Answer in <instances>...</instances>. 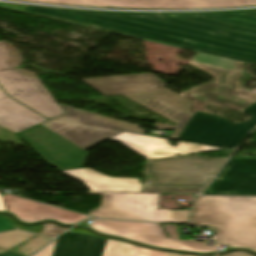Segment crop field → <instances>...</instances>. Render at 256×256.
Wrapping results in <instances>:
<instances>
[{
  "mask_svg": "<svg viewBox=\"0 0 256 256\" xmlns=\"http://www.w3.org/2000/svg\"><path fill=\"white\" fill-rule=\"evenodd\" d=\"M0 256H18V255L8 252V253L2 254Z\"/></svg>",
  "mask_w": 256,
  "mask_h": 256,
  "instance_id": "obj_30",
  "label": "crop field"
},
{
  "mask_svg": "<svg viewBox=\"0 0 256 256\" xmlns=\"http://www.w3.org/2000/svg\"><path fill=\"white\" fill-rule=\"evenodd\" d=\"M34 234L25 233L21 231H12L0 234V249L10 250L16 245L26 241ZM34 237V236H33Z\"/></svg>",
  "mask_w": 256,
  "mask_h": 256,
  "instance_id": "obj_21",
  "label": "crop field"
},
{
  "mask_svg": "<svg viewBox=\"0 0 256 256\" xmlns=\"http://www.w3.org/2000/svg\"><path fill=\"white\" fill-rule=\"evenodd\" d=\"M0 211H6L1 192H0Z\"/></svg>",
  "mask_w": 256,
  "mask_h": 256,
  "instance_id": "obj_29",
  "label": "crop field"
},
{
  "mask_svg": "<svg viewBox=\"0 0 256 256\" xmlns=\"http://www.w3.org/2000/svg\"><path fill=\"white\" fill-rule=\"evenodd\" d=\"M203 194L256 195V157H231Z\"/></svg>",
  "mask_w": 256,
  "mask_h": 256,
  "instance_id": "obj_14",
  "label": "crop field"
},
{
  "mask_svg": "<svg viewBox=\"0 0 256 256\" xmlns=\"http://www.w3.org/2000/svg\"><path fill=\"white\" fill-rule=\"evenodd\" d=\"M20 227H24V226L15 223L13 220L8 218L7 216L0 215V231L16 229Z\"/></svg>",
  "mask_w": 256,
  "mask_h": 256,
  "instance_id": "obj_25",
  "label": "crop field"
},
{
  "mask_svg": "<svg viewBox=\"0 0 256 256\" xmlns=\"http://www.w3.org/2000/svg\"><path fill=\"white\" fill-rule=\"evenodd\" d=\"M226 158L169 157L149 160L151 184L165 187L204 188Z\"/></svg>",
  "mask_w": 256,
  "mask_h": 256,
  "instance_id": "obj_6",
  "label": "crop field"
},
{
  "mask_svg": "<svg viewBox=\"0 0 256 256\" xmlns=\"http://www.w3.org/2000/svg\"><path fill=\"white\" fill-rule=\"evenodd\" d=\"M51 240V238L38 235L37 237L29 240L28 242L12 250L11 252L17 253L22 256H29Z\"/></svg>",
  "mask_w": 256,
  "mask_h": 256,
  "instance_id": "obj_22",
  "label": "crop field"
},
{
  "mask_svg": "<svg viewBox=\"0 0 256 256\" xmlns=\"http://www.w3.org/2000/svg\"><path fill=\"white\" fill-rule=\"evenodd\" d=\"M192 222L216 228L219 244L256 248V197L202 196Z\"/></svg>",
  "mask_w": 256,
  "mask_h": 256,
  "instance_id": "obj_2",
  "label": "crop field"
},
{
  "mask_svg": "<svg viewBox=\"0 0 256 256\" xmlns=\"http://www.w3.org/2000/svg\"><path fill=\"white\" fill-rule=\"evenodd\" d=\"M42 226H43V228H42L40 234H44L47 236H56V235L62 233L63 231L69 229V228L60 227L54 223H45V224H42Z\"/></svg>",
  "mask_w": 256,
  "mask_h": 256,
  "instance_id": "obj_24",
  "label": "crop field"
},
{
  "mask_svg": "<svg viewBox=\"0 0 256 256\" xmlns=\"http://www.w3.org/2000/svg\"><path fill=\"white\" fill-rule=\"evenodd\" d=\"M0 86L11 98L51 119L63 111L31 71L11 69L0 72Z\"/></svg>",
  "mask_w": 256,
  "mask_h": 256,
  "instance_id": "obj_10",
  "label": "crop field"
},
{
  "mask_svg": "<svg viewBox=\"0 0 256 256\" xmlns=\"http://www.w3.org/2000/svg\"><path fill=\"white\" fill-rule=\"evenodd\" d=\"M22 63L18 49L0 41V71L18 67Z\"/></svg>",
  "mask_w": 256,
  "mask_h": 256,
  "instance_id": "obj_20",
  "label": "crop field"
},
{
  "mask_svg": "<svg viewBox=\"0 0 256 256\" xmlns=\"http://www.w3.org/2000/svg\"><path fill=\"white\" fill-rule=\"evenodd\" d=\"M110 140H116L133 150L145 159L169 157L181 154L196 153L221 148L178 141L171 146L167 139L123 132Z\"/></svg>",
  "mask_w": 256,
  "mask_h": 256,
  "instance_id": "obj_15",
  "label": "crop field"
},
{
  "mask_svg": "<svg viewBox=\"0 0 256 256\" xmlns=\"http://www.w3.org/2000/svg\"><path fill=\"white\" fill-rule=\"evenodd\" d=\"M103 94L117 95L162 91L165 84L152 73L82 80Z\"/></svg>",
  "mask_w": 256,
  "mask_h": 256,
  "instance_id": "obj_17",
  "label": "crop field"
},
{
  "mask_svg": "<svg viewBox=\"0 0 256 256\" xmlns=\"http://www.w3.org/2000/svg\"><path fill=\"white\" fill-rule=\"evenodd\" d=\"M47 121L6 96L0 88V125L17 133L37 123Z\"/></svg>",
  "mask_w": 256,
  "mask_h": 256,
  "instance_id": "obj_19",
  "label": "crop field"
},
{
  "mask_svg": "<svg viewBox=\"0 0 256 256\" xmlns=\"http://www.w3.org/2000/svg\"><path fill=\"white\" fill-rule=\"evenodd\" d=\"M25 7L26 6H22V5H12V4H1L0 3V8L14 10V11H18V12H22Z\"/></svg>",
  "mask_w": 256,
  "mask_h": 256,
  "instance_id": "obj_26",
  "label": "crop field"
},
{
  "mask_svg": "<svg viewBox=\"0 0 256 256\" xmlns=\"http://www.w3.org/2000/svg\"><path fill=\"white\" fill-rule=\"evenodd\" d=\"M101 194V205L88 215L117 220L184 223L190 211L159 208L160 194L87 192Z\"/></svg>",
  "mask_w": 256,
  "mask_h": 256,
  "instance_id": "obj_5",
  "label": "crop field"
},
{
  "mask_svg": "<svg viewBox=\"0 0 256 256\" xmlns=\"http://www.w3.org/2000/svg\"><path fill=\"white\" fill-rule=\"evenodd\" d=\"M147 165H148V161H147V164H146V169H147ZM145 174H150V173H146V171H145Z\"/></svg>",
  "mask_w": 256,
  "mask_h": 256,
  "instance_id": "obj_32",
  "label": "crop field"
},
{
  "mask_svg": "<svg viewBox=\"0 0 256 256\" xmlns=\"http://www.w3.org/2000/svg\"><path fill=\"white\" fill-rule=\"evenodd\" d=\"M87 225L93 230L106 235L121 237L124 239L174 250L209 253L215 251V247H206V242H196L192 239L178 240L175 225L163 224L169 235V239L161 228L160 224L123 222L109 220H93Z\"/></svg>",
  "mask_w": 256,
  "mask_h": 256,
  "instance_id": "obj_7",
  "label": "crop field"
},
{
  "mask_svg": "<svg viewBox=\"0 0 256 256\" xmlns=\"http://www.w3.org/2000/svg\"><path fill=\"white\" fill-rule=\"evenodd\" d=\"M141 106L175 122L177 125L172 127L167 124L156 123L154 128L162 130H174L170 138L177 139L182 130L193 117L186 113L190 107V101L180 97L174 92L164 88L162 92L128 94L124 95Z\"/></svg>",
  "mask_w": 256,
  "mask_h": 256,
  "instance_id": "obj_13",
  "label": "crop field"
},
{
  "mask_svg": "<svg viewBox=\"0 0 256 256\" xmlns=\"http://www.w3.org/2000/svg\"><path fill=\"white\" fill-rule=\"evenodd\" d=\"M201 190L202 189L150 187V189H142L141 192L196 194L199 193Z\"/></svg>",
  "mask_w": 256,
  "mask_h": 256,
  "instance_id": "obj_23",
  "label": "crop field"
},
{
  "mask_svg": "<svg viewBox=\"0 0 256 256\" xmlns=\"http://www.w3.org/2000/svg\"><path fill=\"white\" fill-rule=\"evenodd\" d=\"M22 13L199 52L190 62L256 64V10L138 14L27 6Z\"/></svg>",
  "mask_w": 256,
  "mask_h": 256,
  "instance_id": "obj_1",
  "label": "crop field"
},
{
  "mask_svg": "<svg viewBox=\"0 0 256 256\" xmlns=\"http://www.w3.org/2000/svg\"><path fill=\"white\" fill-rule=\"evenodd\" d=\"M17 135L58 170L82 167L88 154L39 124Z\"/></svg>",
  "mask_w": 256,
  "mask_h": 256,
  "instance_id": "obj_11",
  "label": "crop field"
},
{
  "mask_svg": "<svg viewBox=\"0 0 256 256\" xmlns=\"http://www.w3.org/2000/svg\"><path fill=\"white\" fill-rule=\"evenodd\" d=\"M243 112L252 117L240 124H234L218 116L196 112L178 139L219 147L238 146L249 130L256 125V103L244 109Z\"/></svg>",
  "mask_w": 256,
  "mask_h": 256,
  "instance_id": "obj_9",
  "label": "crop field"
},
{
  "mask_svg": "<svg viewBox=\"0 0 256 256\" xmlns=\"http://www.w3.org/2000/svg\"><path fill=\"white\" fill-rule=\"evenodd\" d=\"M4 252H6V251L0 250V254H1V253H4Z\"/></svg>",
  "mask_w": 256,
  "mask_h": 256,
  "instance_id": "obj_33",
  "label": "crop field"
},
{
  "mask_svg": "<svg viewBox=\"0 0 256 256\" xmlns=\"http://www.w3.org/2000/svg\"><path fill=\"white\" fill-rule=\"evenodd\" d=\"M65 113L40 125L82 150H87L123 131L143 134L145 129L97 114L60 105Z\"/></svg>",
  "mask_w": 256,
  "mask_h": 256,
  "instance_id": "obj_3",
  "label": "crop field"
},
{
  "mask_svg": "<svg viewBox=\"0 0 256 256\" xmlns=\"http://www.w3.org/2000/svg\"><path fill=\"white\" fill-rule=\"evenodd\" d=\"M41 3L125 8L194 9L256 6V0H22Z\"/></svg>",
  "mask_w": 256,
  "mask_h": 256,
  "instance_id": "obj_12",
  "label": "crop field"
},
{
  "mask_svg": "<svg viewBox=\"0 0 256 256\" xmlns=\"http://www.w3.org/2000/svg\"><path fill=\"white\" fill-rule=\"evenodd\" d=\"M40 226L36 225V226H31V227H25V228H21L22 230L25 231H29V232H34V233H38V231L40 230Z\"/></svg>",
  "mask_w": 256,
  "mask_h": 256,
  "instance_id": "obj_28",
  "label": "crop field"
},
{
  "mask_svg": "<svg viewBox=\"0 0 256 256\" xmlns=\"http://www.w3.org/2000/svg\"><path fill=\"white\" fill-rule=\"evenodd\" d=\"M70 231V230H69ZM34 256H196L146 249L140 246L100 237L83 228L54 239Z\"/></svg>",
  "mask_w": 256,
  "mask_h": 256,
  "instance_id": "obj_4",
  "label": "crop field"
},
{
  "mask_svg": "<svg viewBox=\"0 0 256 256\" xmlns=\"http://www.w3.org/2000/svg\"><path fill=\"white\" fill-rule=\"evenodd\" d=\"M6 209L23 223L53 220L63 225L72 224L89 218L86 215L58 209L23 198L6 194L3 196Z\"/></svg>",
  "mask_w": 256,
  "mask_h": 256,
  "instance_id": "obj_16",
  "label": "crop field"
},
{
  "mask_svg": "<svg viewBox=\"0 0 256 256\" xmlns=\"http://www.w3.org/2000/svg\"><path fill=\"white\" fill-rule=\"evenodd\" d=\"M248 250H250V251L256 253V249H248Z\"/></svg>",
  "mask_w": 256,
  "mask_h": 256,
  "instance_id": "obj_31",
  "label": "crop field"
},
{
  "mask_svg": "<svg viewBox=\"0 0 256 256\" xmlns=\"http://www.w3.org/2000/svg\"><path fill=\"white\" fill-rule=\"evenodd\" d=\"M219 256H254V255L248 254L243 251H237V252L227 253Z\"/></svg>",
  "mask_w": 256,
  "mask_h": 256,
  "instance_id": "obj_27",
  "label": "crop field"
},
{
  "mask_svg": "<svg viewBox=\"0 0 256 256\" xmlns=\"http://www.w3.org/2000/svg\"><path fill=\"white\" fill-rule=\"evenodd\" d=\"M62 173L83 182L90 191L140 192L142 187L138 179L107 177L89 168L66 170Z\"/></svg>",
  "mask_w": 256,
  "mask_h": 256,
  "instance_id": "obj_18",
  "label": "crop field"
},
{
  "mask_svg": "<svg viewBox=\"0 0 256 256\" xmlns=\"http://www.w3.org/2000/svg\"><path fill=\"white\" fill-rule=\"evenodd\" d=\"M190 64L214 74L216 80L210 84L199 86L183 95L180 94L193 102L188 113L195 114L196 111L209 113L202 105H226L242 111L256 102V94L246 92L239 87L243 63L237 62L234 72L210 66Z\"/></svg>",
  "mask_w": 256,
  "mask_h": 256,
  "instance_id": "obj_8",
  "label": "crop field"
}]
</instances>
